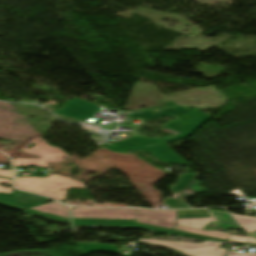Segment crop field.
Wrapping results in <instances>:
<instances>
[{"label":"crop field","mask_w":256,"mask_h":256,"mask_svg":"<svg viewBox=\"0 0 256 256\" xmlns=\"http://www.w3.org/2000/svg\"><path fill=\"white\" fill-rule=\"evenodd\" d=\"M231 214V213H230ZM246 232L256 230V218L231 214Z\"/></svg>","instance_id":"crop-field-13"},{"label":"crop field","mask_w":256,"mask_h":256,"mask_svg":"<svg viewBox=\"0 0 256 256\" xmlns=\"http://www.w3.org/2000/svg\"><path fill=\"white\" fill-rule=\"evenodd\" d=\"M13 171H5L0 169V175L5 177H13Z\"/></svg>","instance_id":"crop-field-20"},{"label":"crop field","mask_w":256,"mask_h":256,"mask_svg":"<svg viewBox=\"0 0 256 256\" xmlns=\"http://www.w3.org/2000/svg\"><path fill=\"white\" fill-rule=\"evenodd\" d=\"M137 228H143V229H148L160 233H165V234H172L176 236H182V237H188V238H195V239H203V240H213V241H223L226 242L225 240H219V239H214V238H209V237H203V236H198V235H193V234H187V233H182V232H177V231H171V230H166V229H161V228H155V227H150V226H145V225H139L136 224Z\"/></svg>","instance_id":"crop-field-9"},{"label":"crop field","mask_w":256,"mask_h":256,"mask_svg":"<svg viewBox=\"0 0 256 256\" xmlns=\"http://www.w3.org/2000/svg\"><path fill=\"white\" fill-rule=\"evenodd\" d=\"M63 207H62V205L54 202V203H50V204H46V205H42V206L30 208V209H34V210L62 216L65 218H69L68 211L66 209H64Z\"/></svg>","instance_id":"crop-field-10"},{"label":"crop field","mask_w":256,"mask_h":256,"mask_svg":"<svg viewBox=\"0 0 256 256\" xmlns=\"http://www.w3.org/2000/svg\"><path fill=\"white\" fill-rule=\"evenodd\" d=\"M175 229L182 230V231H187V232H191V233H196V234H201V235H206V236H211V237H215V238L225 239V240H227L228 236H229L228 233L206 231V230L189 228V227H184V226H179V225H177Z\"/></svg>","instance_id":"crop-field-12"},{"label":"crop field","mask_w":256,"mask_h":256,"mask_svg":"<svg viewBox=\"0 0 256 256\" xmlns=\"http://www.w3.org/2000/svg\"><path fill=\"white\" fill-rule=\"evenodd\" d=\"M15 186L18 189L43 194L57 200H64L67 195L66 191L71 187L86 189L82 182H75L62 175H52L49 178H16ZM61 189L64 191L60 192Z\"/></svg>","instance_id":"crop-field-1"},{"label":"crop field","mask_w":256,"mask_h":256,"mask_svg":"<svg viewBox=\"0 0 256 256\" xmlns=\"http://www.w3.org/2000/svg\"><path fill=\"white\" fill-rule=\"evenodd\" d=\"M177 211L140 210L138 222L173 229Z\"/></svg>","instance_id":"crop-field-6"},{"label":"crop field","mask_w":256,"mask_h":256,"mask_svg":"<svg viewBox=\"0 0 256 256\" xmlns=\"http://www.w3.org/2000/svg\"><path fill=\"white\" fill-rule=\"evenodd\" d=\"M197 174H187L182 177V179L179 181V183L174 188V192L181 193L183 190L188 188L190 183L196 178Z\"/></svg>","instance_id":"crop-field-14"},{"label":"crop field","mask_w":256,"mask_h":256,"mask_svg":"<svg viewBox=\"0 0 256 256\" xmlns=\"http://www.w3.org/2000/svg\"><path fill=\"white\" fill-rule=\"evenodd\" d=\"M74 218L137 219L139 210L75 208Z\"/></svg>","instance_id":"crop-field-4"},{"label":"crop field","mask_w":256,"mask_h":256,"mask_svg":"<svg viewBox=\"0 0 256 256\" xmlns=\"http://www.w3.org/2000/svg\"><path fill=\"white\" fill-rule=\"evenodd\" d=\"M141 243H149L171 247L176 250L182 251L183 254L189 256H225V249H219L222 242L206 241L202 244L187 243V242H169L150 239H138ZM226 244H238L228 241Z\"/></svg>","instance_id":"crop-field-3"},{"label":"crop field","mask_w":256,"mask_h":256,"mask_svg":"<svg viewBox=\"0 0 256 256\" xmlns=\"http://www.w3.org/2000/svg\"><path fill=\"white\" fill-rule=\"evenodd\" d=\"M25 213L38 215V216H44V217H51L54 221H58V222H62V223H70L69 219L60 218V217L51 216V215H46V214L38 213V212H35V211H31V210H28V209L25 210Z\"/></svg>","instance_id":"crop-field-16"},{"label":"crop field","mask_w":256,"mask_h":256,"mask_svg":"<svg viewBox=\"0 0 256 256\" xmlns=\"http://www.w3.org/2000/svg\"><path fill=\"white\" fill-rule=\"evenodd\" d=\"M208 213L211 216V218L178 219L177 224L202 229L210 221L216 222V220L212 217L210 212Z\"/></svg>","instance_id":"crop-field-11"},{"label":"crop field","mask_w":256,"mask_h":256,"mask_svg":"<svg viewBox=\"0 0 256 256\" xmlns=\"http://www.w3.org/2000/svg\"><path fill=\"white\" fill-rule=\"evenodd\" d=\"M250 242H251V243H256V241H255L254 238H251V239H250Z\"/></svg>","instance_id":"crop-field-24"},{"label":"crop field","mask_w":256,"mask_h":256,"mask_svg":"<svg viewBox=\"0 0 256 256\" xmlns=\"http://www.w3.org/2000/svg\"><path fill=\"white\" fill-rule=\"evenodd\" d=\"M227 256H238V254H236V253H231V252H228Z\"/></svg>","instance_id":"crop-field-23"},{"label":"crop field","mask_w":256,"mask_h":256,"mask_svg":"<svg viewBox=\"0 0 256 256\" xmlns=\"http://www.w3.org/2000/svg\"><path fill=\"white\" fill-rule=\"evenodd\" d=\"M0 200L26 208L37 206L48 201V199H45L43 197L30 195L22 192H18L14 195L0 194Z\"/></svg>","instance_id":"crop-field-7"},{"label":"crop field","mask_w":256,"mask_h":256,"mask_svg":"<svg viewBox=\"0 0 256 256\" xmlns=\"http://www.w3.org/2000/svg\"><path fill=\"white\" fill-rule=\"evenodd\" d=\"M164 205L169 206V208H177V199L167 198L163 201Z\"/></svg>","instance_id":"crop-field-17"},{"label":"crop field","mask_w":256,"mask_h":256,"mask_svg":"<svg viewBox=\"0 0 256 256\" xmlns=\"http://www.w3.org/2000/svg\"><path fill=\"white\" fill-rule=\"evenodd\" d=\"M79 227H134L135 221L74 220Z\"/></svg>","instance_id":"crop-field-8"},{"label":"crop field","mask_w":256,"mask_h":256,"mask_svg":"<svg viewBox=\"0 0 256 256\" xmlns=\"http://www.w3.org/2000/svg\"><path fill=\"white\" fill-rule=\"evenodd\" d=\"M0 183H8V184H10L11 180L0 178ZM0 192H5V193L11 194L13 192V188H3V187H0Z\"/></svg>","instance_id":"crop-field-18"},{"label":"crop field","mask_w":256,"mask_h":256,"mask_svg":"<svg viewBox=\"0 0 256 256\" xmlns=\"http://www.w3.org/2000/svg\"><path fill=\"white\" fill-rule=\"evenodd\" d=\"M228 240L248 243V238L233 235H230Z\"/></svg>","instance_id":"crop-field-19"},{"label":"crop field","mask_w":256,"mask_h":256,"mask_svg":"<svg viewBox=\"0 0 256 256\" xmlns=\"http://www.w3.org/2000/svg\"><path fill=\"white\" fill-rule=\"evenodd\" d=\"M38 141H41V142L39 143ZM31 143H36V145L30 150L26 149L28 145ZM27 147L21 149V151L28 154L40 156V159H13L15 166L36 165L37 167L48 168L49 167L47 166L48 162L58 163V162H62L65 157L67 159L70 158L60 149L47 145L45 141L40 137L33 139L31 142H29L27 144Z\"/></svg>","instance_id":"crop-field-2"},{"label":"crop field","mask_w":256,"mask_h":256,"mask_svg":"<svg viewBox=\"0 0 256 256\" xmlns=\"http://www.w3.org/2000/svg\"><path fill=\"white\" fill-rule=\"evenodd\" d=\"M210 217L204 210L179 211L178 218Z\"/></svg>","instance_id":"crop-field-15"},{"label":"crop field","mask_w":256,"mask_h":256,"mask_svg":"<svg viewBox=\"0 0 256 256\" xmlns=\"http://www.w3.org/2000/svg\"><path fill=\"white\" fill-rule=\"evenodd\" d=\"M0 204H2L4 206H7V207H10V208H14V209H18V210L24 211V208H20V207H17V206L9 205V204L2 203V202H0Z\"/></svg>","instance_id":"crop-field-21"},{"label":"crop field","mask_w":256,"mask_h":256,"mask_svg":"<svg viewBox=\"0 0 256 256\" xmlns=\"http://www.w3.org/2000/svg\"><path fill=\"white\" fill-rule=\"evenodd\" d=\"M239 256H256V254H239Z\"/></svg>","instance_id":"crop-field-22"},{"label":"crop field","mask_w":256,"mask_h":256,"mask_svg":"<svg viewBox=\"0 0 256 256\" xmlns=\"http://www.w3.org/2000/svg\"><path fill=\"white\" fill-rule=\"evenodd\" d=\"M100 108L85 101L75 99L66 103L65 107L62 110L56 111V113L86 121L87 118L93 119L95 113Z\"/></svg>","instance_id":"crop-field-5"}]
</instances>
